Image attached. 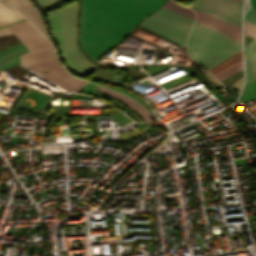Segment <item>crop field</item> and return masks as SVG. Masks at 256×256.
I'll return each mask as SVG.
<instances>
[{"mask_svg":"<svg viewBox=\"0 0 256 256\" xmlns=\"http://www.w3.org/2000/svg\"><path fill=\"white\" fill-rule=\"evenodd\" d=\"M165 0H82L81 43L93 59Z\"/></svg>","mask_w":256,"mask_h":256,"instance_id":"obj_1","label":"crop field"},{"mask_svg":"<svg viewBox=\"0 0 256 256\" xmlns=\"http://www.w3.org/2000/svg\"><path fill=\"white\" fill-rule=\"evenodd\" d=\"M29 65L68 88L77 90L85 82L69 75L59 64L57 56Z\"/></svg>","mask_w":256,"mask_h":256,"instance_id":"obj_2","label":"crop field"},{"mask_svg":"<svg viewBox=\"0 0 256 256\" xmlns=\"http://www.w3.org/2000/svg\"><path fill=\"white\" fill-rule=\"evenodd\" d=\"M192 5L240 22L241 1L237 0H194Z\"/></svg>","mask_w":256,"mask_h":256,"instance_id":"obj_3","label":"crop field"},{"mask_svg":"<svg viewBox=\"0 0 256 256\" xmlns=\"http://www.w3.org/2000/svg\"><path fill=\"white\" fill-rule=\"evenodd\" d=\"M6 4L14 7L22 15H24L34 26L46 37L48 41L54 44L46 28L45 21L41 15L38 7H36L31 0H3Z\"/></svg>","mask_w":256,"mask_h":256,"instance_id":"obj_4","label":"crop field"},{"mask_svg":"<svg viewBox=\"0 0 256 256\" xmlns=\"http://www.w3.org/2000/svg\"><path fill=\"white\" fill-rule=\"evenodd\" d=\"M8 28L19 38L22 43L32 51L45 45H49L48 41L42 37L39 32L27 20L8 26Z\"/></svg>","mask_w":256,"mask_h":256,"instance_id":"obj_5","label":"crop field"},{"mask_svg":"<svg viewBox=\"0 0 256 256\" xmlns=\"http://www.w3.org/2000/svg\"><path fill=\"white\" fill-rule=\"evenodd\" d=\"M196 16H197V19H196L197 21L203 22V23L225 33L226 35L237 40L238 42H240V29L239 28H237L231 24H228L226 22L215 19L213 17H210L208 15H205L203 13H200L198 11H196Z\"/></svg>","mask_w":256,"mask_h":256,"instance_id":"obj_6","label":"crop field"},{"mask_svg":"<svg viewBox=\"0 0 256 256\" xmlns=\"http://www.w3.org/2000/svg\"><path fill=\"white\" fill-rule=\"evenodd\" d=\"M97 91L102 92V93L122 102L127 107H129L131 110H133L144 122L151 123L146 111L141 106H139L136 102H134L130 99H127V98H125L107 88H104L102 86Z\"/></svg>","mask_w":256,"mask_h":256,"instance_id":"obj_7","label":"crop field"},{"mask_svg":"<svg viewBox=\"0 0 256 256\" xmlns=\"http://www.w3.org/2000/svg\"><path fill=\"white\" fill-rule=\"evenodd\" d=\"M55 50L50 46L42 47L40 49L34 50L32 52L26 53L20 56V62L23 64L30 63L33 61L41 60L51 56H55Z\"/></svg>","mask_w":256,"mask_h":256,"instance_id":"obj_8","label":"crop field"},{"mask_svg":"<svg viewBox=\"0 0 256 256\" xmlns=\"http://www.w3.org/2000/svg\"><path fill=\"white\" fill-rule=\"evenodd\" d=\"M21 19L23 17L19 13L0 3V25L16 22Z\"/></svg>","mask_w":256,"mask_h":256,"instance_id":"obj_9","label":"crop field"},{"mask_svg":"<svg viewBox=\"0 0 256 256\" xmlns=\"http://www.w3.org/2000/svg\"><path fill=\"white\" fill-rule=\"evenodd\" d=\"M26 52H29L27 50V48L24 46V47H21V48H18L16 50H13L9 53H6L4 55H1L0 56V68L16 61L19 59V55L21 54H24Z\"/></svg>","mask_w":256,"mask_h":256,"instance_id":"obj_10","label":"crop field"},{"mask_svg":"<svg viewBox=\"0 0 256 256\" xmlns=\"http://www.w3.org/2000/svg\"><path fill=\"white\" fill-rule=\"evenodd\" d=\"M247 80L246 84L256 79V48L246 58Z\"/></svg>","mask_w":256,"mask_h":256,"instance_id":"obj_11","label":"crop field"},{"mask_svg":"<svg viewBox=\"0 0 256 256\" xmlns=\"http://www.w3.org/2000/svg\"><path fill=\"white\" fill-rule=\"evenodd\" d=\"M245 19L256 26V10L250 4L249 9L246 12ZM256 46V38L250 43L245 45L246 56Z\"/></svg>","mask_w":256,"mask_h":256,"instance_id":"obj_12","label":"crop field"},{"mask_svg":"<svg viewBox=\"0 0 256 256\" xmlns=\"http://www.w3.org/2000/svg\"><path fill=\"white\" fill-rule=\"evenodd\" d=\"M242 60L241 52L237 53L236 55L232 56L231 58L227 59L223 63L219 64L218 66L214 67L213 69L209 70L212 75L227 68L228 66Z\"/></svg>","mask_w":256,"mask_h":256,"instance_id":"obj_13","label":"crop field"},{"mask_svg":"<svg viewBox=\"0 0 256 256\" xmlns=\"http://www.w3.org/2000/svg\"><path fill=\"white\" fill-rule=\"evenodd\" d=\"M164 7L168 8V9H171L173 11H176V12H178L180 14L185 15V16H188V17H190L192 19L194 17V12L193 11H191V10H189L187 8H184V7L178 5V4H176V3H174V2H172L170 0L165 3Z\"/></svg>","mask_w":256,"mask_h":256,"instance_id":"obj_14","label":"crop field"},{"mask_svg":"<svg viewBox=\"0 0 256 256\" xmlns=\"http://www.w3.org/2000/svg\"><path fill=\"white\" fill-rule=\"evenodd\" d=\"M190 7L193 8V9H196V10H198V11H201V12H203V13H205V14H208V15H210V16H213V17H215V18H218V19H221V20L226 21V22H228V23H231V24H233V25H236V26H238V27L241 28L240 24L237 23V22H235V21L229 20V19H227V18H224V17H222V16H219V15H217V14L211 13V12H209V11L200 9V8L195 7V6H192V5H190Z\"/></svg>","mask_w":256,"mask_h":256,"instance_id":"obj_15","label":"crop field"},{"mask_svg":"<svg viewBox=\"0 0 256 256\" xmlns=\"http://www.w3.org/2000/svg\"><path fill=\"white\" fill-rule=\"evenodd\" d=\"M12 32L7 28H0V35L11 34Z\"/></svg>","mask_w":256,"mask_h":256,"instance_id":"obj_16","label":"crop field"},{"mask_svg":"<svg viewBox=\"0 0 256 256\" xmlns=\"http://www.w3.org/2000/svg\"><path fill=\"white\" fill-rule=\"evenodd\" d=\"M251 1V3H252V5L255 7V9H256V0H250Z\"/></svg>","mask_w":256,"mask_h":256,"instance_id":"obj_17","label":"crop field"},{"mask_svg":"<svg viewBox=\"0 0 256 256\" xmlns=\"http://www.w3.org/2000/svg\"><path fill=\"white\" fill-rule=\"evenodd\" d=\"M242 1V0H241Z\"/></svg>","mask_w":256,"mask_h":256,"instance_id":"obj_18","label":"crop field"}]
</instances>
